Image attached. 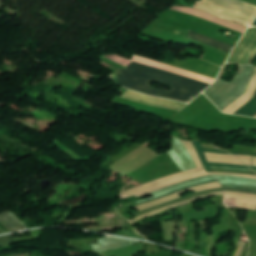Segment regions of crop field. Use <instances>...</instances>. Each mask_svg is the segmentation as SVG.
I'll return each mask as SVG.
<instances>
[{
	"label": "crop field",
	"instance_id": "22f410ed",
	"mask_svg": "<svg viewBox=\"0 0 256 256\" xmlns=\"http://www.w3.org/2000/svg\"><path fill=\"white\" fill-rule=\"evenodd\" d=\"M225 205L256 210V198L224 194Z\"/></svg>",
	"mask_w": 256,
	"mask_h": 256
},
{
	"label": "crop field",
	"instance_id": "d32e631a",
	"mask_svg": "<svg viewBox=\"0 0 256 256\" xmlns=\"http://www.w3.org/2000/svg\"><path fill=\"white\" fill-rule=\"evenodd\" d=\"M251 26H256V20L253 22V24Z\"/></svg>",
	"mask_w": 256,
	"mask_h": 256
},
{
	"label": "crop field",
	"instance_id": "412701ff",
	"mask_svg": "<svg viewBox=\"0 0 256 256\" xmlns=\"http://www.w3.org/2000/svg\"><path fill=\"white\" fill-rule=\"evenodd\" d=\"M218 180L221 184H223V187H229V188H239V189H246V190H254L256 191V180L254 179H246V178H238V177H230V176H218V175H209L206 177H201V178H197V179H193L190 181H186L177 185H174L172 187L163 189V190H159V191H155L153 193H151L154 197L160 196V195H164L167 194L169 192H172L174 190H177L179 188L191 185V184H195V183H199V182H205V181H210V180ZM153 198V197H150ZM147 198V199H150ZM144 199V200H147ZM142 200V201H144ZM141 202V201H139ZM138 203V202H136Z\"/></svg>",
	"mask_w": 256,
	"mask_h": 256
},
{
	"label": "crop field",
	"instance_id": "4177f3b9",
	"mask_svg": "<svg viewBox=\"0 0 256 256\" xmlns=\"http://www.w3.org/2000/svg\"><path fill=\"white\" fill-rule=\"evenodd\" d=\"M205 251H206V255L210 256L209 242H208V233L205 234Z\"/></svg>",
	"mask_w": 256,
	"mask_h": 256
},
{
	"label": "crop field",
	"instance_id": "cbeb9de0",
	"mask_svg": "<svg viewBox=\"0 0 256 256\" xmlns=\"http://www.w3.org/2000/svg\"><path fill=\"white\" fill-rule=\"evenodd\" d=\"M189 38L193 39V40H196L198 42L210 45L212 47L224 50V51L229 52V53H231V51L233 49V46H230V45L222 43L220 41L211 39L209 37L203 36L201 34L195 33V32L190 31V30H189Z\"/></svg>",
	"mask_w": 256,
	"mask_h": 256
},
{
	"label": "crop field",
	"instance_id": "d1516ede",
	"mask_svg": "<svg viewBox=\"0 0 256 256\" xmlns=\"http://www.w3.org/2000/svg\"><path fill=\"white\" fill-rule=\"evenodd\" d=\"M219 187H222L221 184H219L218 182H215V183H209V184L197 186V187L190 188V189L194 190V192H198V191H202V190H206V189L219 188ZM184 191H186V190H184ZM181 192H183V191H181ZM181 192H178V193H175V194L163 197V198H161L159 200H156V201H153V202H150V203H147V204L136 206L135 208H137V209H139V211H141V210H144V209H147V208H150V207H153V206L165 203L167 201H170V200H173V199L181 197L180 196Z\"/></svg>",
	"mask_w": 256,
	"mask_h": 256
},
{
	"label": "crop field",
	"instance_id": "d8731c3e",
	"mask_svg": "<svg viewBox=\"0 0 256 256\" xmlns=\"http://www.w3.org/2000/svg\"><path fill=\"white\" fill-rule=\"evenodd\" d=\"M182 171L196 168L185 146L176 138L172 140V149L167 151Z\"/></svg>",
	"mask_w": 256,
	"mask_h": 256
},
{
	"label": "crop field",
	"instance_id": "d9b57169",
	"mask_svg": "<svg viewBox=\"0 0 256 256\" xmlns=\"http://www.w3.org/2000/svg\"><path fill=\"white\" fill-rule=\"evenodd\" d=\"M211 195H222V191H220V192H214V193H208V194H204V195H200V196H197V197L192 198V199H188V200L181 201V202H178V203H175V204H172V205H168V206L162 207V208H160V209L154 210V211H152V212H149V213H147V214L141 215V216L137 217L136 219H133V220H130V221H131V223H133V222H136V221H138V220L144 219V218H146V217H149V216L158 214V213H160V212L166 211V210L171 209V208H173V207H177V206H179V205H181V204H186V203H188V202L195 201V200H197V199H199V198H203V197H207V196H211Z\"/></svg>",
	"mask_w": 256,
	"mask_h": 256
},
{
	"label": "crop field",
	"instance_id": "ac0d7876",
	"mask_svg": "<svg viewBox=\"0 0 256 256\" xmlns=\"http://www.w3.org/2000/svg\"><path fill=\"white\" fill-rule=\"evenodd\" d=\"M228 66L229 64L225 65L216 82L204 91L221 111L243 94L255 70V67L249 65L240 66L232 81L227 83L221 81V79Z\"/></svg>",
	"mask_w": 256,
	"mask_h": 256
},
{
	"label": "crop field",
	"instance_id": "dd49c442",
	"mask_svg": "<svg viewBox=\"0 0 256 256\" xmlns=\"http://www.w3.org/2000/svg\"><path fill=\"white\" fill-rule=\"evenodd\" d=\"M122 97L131 99V100H135V101L147 104V105L164 107V108L173 109V110H177V111H180L186 105V104L180 103V102L168 101V100H163V99L146 96V95L139 94V93L129 91V90H127Z\"/></svg>",
	"mask_w": 256,
	"mask_h": 256
},
{
	"label": "crop field",
	"instance_id": "d3111659",
	"mask_svg": "<svg viewBox=\"0 0 256 256\" xmlns=\"http://www.w3.org/2000/svg\"><path fill=\"white\" fill-rule=\"evenodd\" d=\"M224 193H231V194H238V195L256 197V195H251V194H246V193H236V192H226V191H224Z\"/></svg>",
	"mask_w": 256,
	"mask_h": 256
},
{
	"label": "crop field",
	"instance_id": "28ad6ade",
	"mask_svg": "<svg viewBox=\"0 0 256 256\" xmlns=\"http://www.w3.org/2000/svg\"><path fill=\"white\" fill-rule=\"evenodd\" d=\"M182 142V141H181ZM186 148L189 150L194 162L196 163L197 167L196 169H192V170H188V171H184V172H181V173H178V174H175V175H171V176H168V177H165V178H162V179H159V180H156L154 182H151V183H148L146 185H143V186H140V187H137V188H134V189H131V190H127V191H124L123 194H126V193H129V192H133V191H136V190H139V189H142V188H145V187H148V186H151V185H154V184H157L159 182H162V181H165V180H168V179H171V178H174V177H177V176H180V175H184V174H188V173H192V172H196V171H200V170H204V167L192 145L191 142H182ZM122 194V195H123Z\"/></svg>",
	"mask_w": 256,
	"mask_h": 256
},
{
	"label": "crop field",
	"instance_id": "5866460e",
	"mask_svg": "<svg viewBox=\"0 0 256 256\" xmlns=\"http://www.w3.org/2000/svg\"><path fill=\"white\" fill-rule=\"evenodd\" d=\"M3 233H4V231L2 229H0V234H3Z\"/></svg>",
	"mask_w": 256,
	"mask_h": 256
},
{
	"label": "crop field",
	"instance_id": "5142ce71",
	"mask_svg": "<svg viewBox=\"0 0 256 256\" xmlns=\"http://www.w3.org/2000/svg\"><path fill=\"white\" fill-rule=\"evenodd\" d=\"M0 222L10 231L24 230L25 227L18 217L7 211L0 214Z\"/></svg>",
	"mask_w": 256,
	"mask_h": 256
},
{
	"label": "crop field",
	"instance_id": "f4fd0767",
	"mask_svg": "<svg viewBox=\"0 0 256 256\" xmlns=\"http://www.w3.org/2000/svg\"><path fill=\"white\" fill-rule=\"evenodd\" d=\"M256 55V28L247 29L240 43L227 62L237 64H250Z\"/></svg>",
	"mask_w": 256,
	"mask_h": 256
},
{
	"label": "crop field",
	"instance_id": "b80d0937",
	"mask_svg": "<svg viewBox=\"0 0 256 256\" xmlns=\"http://www.w3.org/2000/svg\"><path fill=\"white\" fill-rule=\"evenodd\" d=\"M254 155H256V154H254Z\"/></svg>",
	"mask_w": 256,
	"mask_h": 256
},
{
	"label": "crop field",
	"instance_id": "1d83c4d3",
	"mask_svg": "<svg viewBox=\"0 0 256 256\" xmlns=\"http://www.w3.org/2000/svg\"><path fill=\"white\" fill-rule=\"evenodd\" d=\"M0 228H2L5 231V233L9 232L1 223H0Z\"/></svg>",
	"mask_w": 256,
	"mask_h": 256
},
{
	"label": "crop field",
	"instance_id": "120bbe31",
	"mask_svg": "<svg viewBox=\"0 0 256 256\" xmlns=\"http://www.w3.org/2000/svg\"><path fill=\"white\" fill-rule=\"evenodd\" d=\"M253 163H256V156L253 158ZM253 166H256V164H253Z\"/></svg>",
	"mask_w": 256,
	"mask_h": 256
},
{
	"label": "crop field",
	"instance_id": "34b2d1b8",
	"mask_svg": "<svg viewBox=\"0 0 256 256\" xmlns=\"http://www.w3.org/2000/svg\"><path fill=\"white\" fill-rule=\"evenodd\" d=\"M198 8L246 26L256 16V7L240 0H203Z\"/></svg>",
	"mask_w": 256,
	"mask_h": 256
},
{
	"label": "crop field",
	"instance_id": "8a807250",
	"mask_svg": "<svg viewBox=\"0 0 256 256\" xmlns=\"http://www.w3.org/2000/svg\"><path fill=\"white\" fill-rule=\"evenodd\" d=\"M112 76L116 83L125 88L158 97H168L185 103L190 102L209 85L134 62ZM153 80L167 83L172 88L170 91L155 90L148 86Z\"/></svg>",
	"mask_w": 256,
	"mask_h": 256
},
{
	"label": "crop field",
	"instance_id": "028f5c9d",
	"mask_svg": "<svg viewBox=\"0 0 256 256\" xmlns=\"http://www.w3.org/2000/svg\"><path fill=\"white\" fill-rule=\"evenodd\" d=\"M253 116L256 117V113Z\"/></svg>",
	"mask_w": 256,
	"mask_h": 256
},
{
	"label": "crop field",
	"instance_id": "e1f06a70",
	"mask_svg": "<svg viewBox=\"0 0 256 256\" xmlns=\"http://www.w3.org/2000/svg\"><path fill=\"white\" fill-rule=\"evenodd\" d=\"M251 168H256V167H251Z\"/></svg>",
	"mask_w": 256,
	"mask_h": 256
},
{
	"label": "crop field",
	"instance_id": "733c2abd",
	"mask_svg": "<svg viewBox=\"0 0 256 256\" xmlns=\"http://www.w3.org/2000/svg\"><path fill=\"white\" fill-rule=\"evenodd\" d=\"M204 167L206 168L207 172H211L210 171V167L209 165H216V166H232V167H246L247 166H240V165H227V164H214V163H207L206 158H205V154L204 152H217V153H221V154H229L226 151H214V150H206V149H202L201 147V143L200 142H192Z\"/></svg>",
	"mask_w": 256,
	"mask_h": 256
},
{
	"label": "crop field",
	"instance_id": "92a150f3",
	"mask_svg": "<svg viewBox=\"0 0 256 256\" xmlns=\"http://www.w3.org/2000/svg\"><path fill=\"white\" fill-rule=\"evenodd\" d=\"M115 235H121V236H127V237H132V238H138V239H144L146 240L144 237H142L136 230L131 229L128 231H124Z\"/></svg>",
	"mask_w": 256,
	"mask_h": 256
},
{
	"label": "crop field",
	"instance_id": "a9b5d70f",
	"mask_svg": "<svg viewBox=\"0 0 256 256\" xmlns=\"http://www.w3.org/2000/svg\"><path fill=\"white\" fill-rule=\"evenodd\" d=\"M237 158H248L251 159L252 156H243V155H234ZM243 163L250 165L251 166V160H245V159H240Z\"/></svg>",
	"mask_w": 256,
	"mask_h": 256
},
{
	"label": "crop field",
	"instance_id": "dafd665d",
	"mask_svg": "<svg viewBox=\"0 0 256 256\" xmlns=\"http://www.w3.org/2000/svg\"><path fill=\"white\" fill-rule=\"evenodd\" d=\"M15 243L13 235L0 237V247Z\"/></svg>",
	"mask_w": 256,
	"mask_h": 256
},
{
	"label": "crop field",
	"instance_id": "00972430",
	"mask_svg": "<svg viewBox=\"0 0 256 256\" xmlns=\"http://www.w3.org/2000/svg\"><path fill=\"white\" fill-rule=\"evenodd\" d=\"M212 172H217V171H222V172H235V173H241V174H251V175H256L255 172H248V171H232V170H216V169H211Z\"/></svg>",
	"mask_w": 256,
	"mask_h": 256
},
{
	"label": "crop field",
	"instance_id": "3316defc",
	"mask_svg": "<svg viewBox=\"0 0 256 256\" xmlns=\"http://www.w3.org/2000/svg\"><path fill=\"white\" fill-rule=\"evenodd\" d=\"M172 10H176V11H179V12H183V13H187V14H190V15H194V16L203 18L205 20H208V21L220 24L222 26L234 29L236 31L242 32V33L245 30V27H241V26L235 25V24H233L231 22H228V21H226L224 19H221V18H218L216 16L207 14V13L202 12V11H198V10H194V9H190V8H181V7H173Z\"/></svg>",
	"mask_w": 256,
	"mask_h": 256
},
{
	"label": "crop field",
	"instance_id": "5a996713",
	"mask_svg": "<svg viewBox=\"0 0 256 256\" xmlns=\"http://www.w3.org/2000/svg\"><path fill=\"white\" fill-rule=\"evenodd\" d=\"M137 242L139 241L127 240V239H122V238H117L112 236L89 241L90 245L93 247V249L96 251L97 254H100L107 250L131 245Z\"/></svg>",
	"mask_w": 256,
	"mask_h": 256
},
{
	"label": "crop field",
	"instance_id": "730fd06b",
	"mask_svg": "<svg viewBox=\"0 0 256 256\" xmlns=\"http://www.w3.org/2000/svg\"><path fill=\"white\" fill-rule=\"evenodd\" d=\"M211 168H216V169H234V170H249L252 171L251 169H244V168H231V167H215V166H210Z\"/></svg>",
	"mask_w": 256,
	"mask_h": 256
},
{
	"label": "crop field",
	"instance_id": "bd1437ed",
	"mask_svg": "<svg viewBox=\"0 0 256 256\" xmlns=\"http://www.w3.org/2000/svg\"><path fill=\"white\" fill-rule=\"evenodd\" d=\"M232 154H245V155H252L253 153H240V152H230Z\"/></svg>",
	"mask_w": 256,
	"mask_h": 256
},
{
	"label": "crop field",
	"instance_id": "bc2a9ffb",
	"mask_svg": "<svg viewBox=\"0 0 256 256\" xmlns=\"http://www.w3.org/2000/svg\"><path fill=\"white\" fill-rule=\"evenodd\" d=\"M222 190V188H219V189H212V190H207V191H203V192H198V193H193V194H189L187 196H184L180 199H177V200H174V201H171V202H168V203H165V204H162V205H159V206H156V207H153V208H150V209H147L145 211H142V212H139V213H136V214H133L134 216H139L141 214H144V213H147L149 211H152L154 209H157V208H160L162 206H165V205H168V204H171V203H175V202H178V201H181V200H185V199H188V198H191V197H194L196 195H200V194H204V193H208V192H214V191H220Z\"/></svg>",
	"mask_w": 256,
	"mask_h": 256
},
{
	"label": "crop field",
	"instance_id": "ae1a2a85",
	"mask_svg": "<svg viewBox=\"0 0 256 256\" xmlns=\"http://www.w3.org/2000/svg\"><path fill=\"white\" fill-rule=\"evenodd\" d=\"M224 190H231V191H240V192H247L251 194H256V192H251V191H245V190H239V189H229V188H223Z\"/></svg>",
	"mask_w": 256,
	"mask_h": 256
},
{
	"label": "crop field",
	"instance_id": "214f88e0",
	"mask_svg": "<svg viewBox=\"0 0 256 256\" xmlns=\"http://www.w3.org/2000/svg\"><path fill=\"white\" fill-rule=\"evenodd\" d=\"M255 112H256V97L235 114L251 116Z\"/></svg>",
	"mask_w": 256,
	"mask_h": 256
},
{
	"label": "crop field",
	"instance_id": "750c4746",
	"mask_svg": "<svg viewBox=\"0 0 256 256\" xmlns=\"http://www.w3.org/2000/svg\"><path fill=\"white\" fill-rule=\"evenodd\" d=\"M241 244H242V242H240L239 243V247H238V251H237V254H236V256H238L239 255V252H240V248H241ZM244 242H243V244H242V248H241V252H240V256L242 255V251H243V248H244Z\"/></svg>",
	"mask_w": 256,
	"mask_h": 256
},
{
	"label": "crop field",
	"instance_id": "e52e79f7",
	"mask_svg": "<svg viewBox=\"0 0 256 256\" xmlns=\"http://www.w3.org/2000/svg\"><path fill=\"white\" fill-rule=\"evenodd\" d=\"M208 174L232 175V176H244V177L256 178V176H250V175H238V174H228V173H206V171L204 170V171H200V172H197V173L180 176V177H177V178H174V179H171V180L159 183L157 185H154V186H151V187H148V188H145V189H142V190L130 193L128 195H123L121 197H122V199H124V198L130 197V196L141 194L143 192L152 190V189L160 187V186H162V187L157 188L155 190L163 189V188L169 187L171 185L177 184L179 182H182V181H185V180H189V179H193V178L200 177V176H204V175H208ZM155 190H152V191H155ZM152 191H149V192H152ZM149 192H146L144 194H147ZM144 194H141V195H144ZM141 195H138L136 197H139Z\"/></svg>",
	"mask_w": 256,
	"mask_h": 256
},
{
	"label": "crop field",
	"instance_id": "eef30255",
	"mask_svg": "<svg viewBox=\"0 0 256 256\" xmlns=\"http://www.w3.org/2000/svg\"><path fill=\"white\" fill-rule=\"evenodd\" d=\"M216 180H214V181H210V182H215ZM206 183H209V182H206ZM201 184H204V183H200V184H195V185H192V186H189V187H185V188H182V189H186V188H190V187H194V186H197V185H201ZM179 190H181V189H179ZM179 190H177V191H179ZM174 192H176V191H174ZM174 192H172V193H174ZM169 194H171V193H169ZM168 195V194H167ZM164 196H166V195H164ZM161 197H163V196H161ZM161 197H158V198H161ZM158 198H155V199H158ZM155 199H152V200H155ZM149 201H151V200H149ZM147 202V201H146ZM142 203H144V202H142ZM139 204H141V203H139ZM136 205H138V204H136Z\"/></svg>",
	"mask_w": 256,
	"mask_h": 256
},
{
	"label": "crop field",
	"instance_id": "4a817a6b",
	"mask_svg": "<svg viewBox=\"0 0 256 256\" xmlns=\"http://www.w3.org/2000/svg\"><path fill=\"white\" fill-rule=\"evenodd\" d=\"M205 154L208 162L245 165L241 161L233 157L232 155H218V154H209V153H205Z\"/></svg>",
	"mask_w": 256,
	"mask_h": 256
},
{
	"label": "crop field",
	"instance_id": "0bd39190",
	"mask_svg": "<svg viewBox=\"0 0 256 256\" xmlns=\"http://www.w3.org/2000/svg\"><path fill=\"white\" fill-rule=\"evenodd\" d=\"M256 172V170H254Z\"/></svg>",
	"mask_w": 256,
	"mask_h": 256
}]
</instances>
